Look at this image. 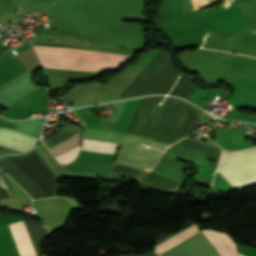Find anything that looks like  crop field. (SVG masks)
Returning <instances> with one entry per match:
<instances>
[{
	"mask_svg": "<svg viewBox=\"0 0 256 256\" xmlns=\"http://www.w3.org/2000/svg\"><path fill=\"white\" fill-rule=\"evenodd\" d=\"M218 170L236 188L256 183V146L236 152L223 151Z\"/></svg>",
	"mask_w": 256,
	"mask_h": 256,
	"instance_id": "3",
	"label": "crop field"
},
{
	"mask_svg": "<svg viewBox=\"0 0 256 256\" xmlns=\"http://www.w3.org/2000/svg\"><path fill=\"white\" fill-rule=\"evenodd\" d=\"M191 1H192L193 9L195 10L202 7L209 6V4L211 5L219 0H208L209 4L207 0H191Z\"/></svg>",
	"mask_w": 256,
	"mask_h": 256,
	"instance_id": "11",
	"label": "crop field"
},
{
	"mask_svg": "<svg viewBox=\"0 0 256 256\" xmlns=\"http://www.w3.org/2000/svg\"><path fill=\"white\" fill-rule=\"evenodd\" d=\"M117 144L84 139L81 149L113 154Z\"/></svg>",
	"mask_w": 256,
	"mask_h": 256,
	"instance_id": "9",
	"label": "crop field"
},
{
	"mask_svg": "<svg viewBox=\"0 0 256 256\" xmlns=\"http://www.w3.org/2000/svg\"><path fill=\"white\" fill-rule=\"evenodd\" d=\"M79 150H80V146L72 148V149L56 156V158L60 164H62V163L68 164V163L72 162L73 160H75V158L77 157V155L79 153Z\"/></svg>",
	"mask_w": 256,
	"mask_h": 256,
	"instance_id": "10",
	"label": "crop field"
},
{
	"mask_svg": "<svg viewBox=\"0 0 256 256\" xmlns=\"http://www.w3.org/2000/svg\"><path fill=\"white\" fill-rule=\"evenodd\" d=\"M83 129V138L121 143L114 162L148 171H150L163 151L152 148L149 150L141 149L143 142H149L152 146L158 148H166L168 146L115 131L87 127H83Z\"/></svg>",
	"mask_w": 256,
	"mask_h": 256,
	"instance_id": "2",
	"label": "crop field"
},
{
	"mask_svg": "<svg viewBox=\"0 0 256 256\" xmlns=\"http://www.w3.org/2000/svg\"><path fill=\"white\" fill-rule=\"evenodd\" d=\"M36 138L19 133L11 129H0V145H4L22 152L30 149Z\"/></svg>",
	"mask_w": 256,
	"mask_h": 256,
	"instance_id": "4",
	"label": "crop field"
},
{
	"mask_svg": "<svg viewBox=\"0 0 256 256\" xmlns=\"http://www.w3.org/2000/svg\"><path fill=\"white\" fill-rule=\"evenodd\" d=\"M227 1H228V0H225V1H224V4H225ZM224 4H223V5H224Z\"/></svg>",
	"mask_w": 256,
	"mask_h": 256,
	"instance_id": "12",
	"label": "crop field"
},
{
	"mask_svg": "<svg viewBox=\"0 0 256 256\" xmlns=\"http://www.w3.org/2000/svg\"><path fill=\"white\" fill-rule=\"evenodd\" d=\"M21 256H35L23 222L9 225Z\"/></svg>",
	"mask_w": 256,
	"mask_h": 256,
	"instance_id": "7",
	"label": "crop field"
},
{
	"mask_svg": "<svg viewBox=\"0 0 256 256\" xmlns=\"http://www.w3.org/2000/svg\"><path fill=\"white\" fill-rule=\"evenodd\" d=\"M239 256H241V255H239Z\"/></svg>",
	"mask_w": 256,
	"mask_h": 256,
	"instance_id": "14",
	"label": "crop field"
},
{
	"mask_svg": "<svg viewBox=\"0 0 256 256\" xmlns=\"http://www.w3.org/2000/svg\"><path fill=\"white\" fill-rule=\"evenodd\" d=\"M221 256H237L234 242L225 234L214 230H202Z\"/></svg>",
	"mask_w": 256,
	"mask_h": 256,
	"instance_id": "6",
	"label": "crop field"
},
{
	"mask_svg": "<svg viewBox=\"0 0 256 256\" xmlns=\"http://www.w3.org/2000/svg\"><path fill=\"white\" fill-rule=\"evenodd\" d=\"M138 1H143V0H138Z\"/></svg>",
	"mask_w": 256,
	"mask_h": 256,
	"instance_id": "13",
	"label": "crop field"
},
{
	"mask_svg": "<svg viewBox=\"0 0 256 256\" xmlns=\"http://www.w3.org/2000/svg\"><path fill=\"white\" fill-rule=\"evenodd\" d=\"M27 70L12 54L8 51L0 56V85Z\"/></svg>",
	"mask_w": 256,
	"mask_h": 256,
	"instance_id": "5",
	"label": "crop field"
},
{
	"mask_svg": "<svg viewBox=\"0 0 256 256\" xmlns=\"http://www.w3.org/2000/svg\"><path fill=\"white\" fill-rule=\"evenodd\" d=\"M197 230H199V229H198L197 225L194 224V225L188 227L187 229L183 230L182 232L176 234L175 236H173L170 239L166 240L162 244L156 246V249H155L156 254L161 252V251H163V250H165V249H167V248H169V247H171L175 243L179 242L180 240H182L183 238L187 237L188 235L192 234L193 232H195Z\"/></svg>",
	"mask_w": 256,
	"mask_h": 256,
	"instance_id": "8",
	"label": "crop field"
},
{
	"mask_svg": "<svg viewBox=\"0 0 256 256\" xmlns=\"http://www.w3.org/2000/svg\"><path fill=\"white\" fill-rule=\"evenodd\" d=\"M39 60L104 66L115 68L116 65L131 57L129 55H121L114 53H106L91 50H77L70 48H55V47H41L33 46ZM40 61L43 67L57 68V69H69V70H82V71H94L101 72L104 67L54 63Z\"/></svg>",
	"mask_w": 256,
	"mask_h": 256,
	"instance_id": "1",
	"label": "crop field"
}]
</instances>
